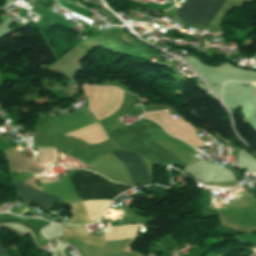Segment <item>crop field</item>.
<instances>
[{
    "instance_id": "1",
    "label": "crop field",
    "mask_w": 256,
    "mask_h": 256,
    "mask_svg": "<svg viewBox=\"0 0 256 256\" xmlns=\"http://www.w3.org/2000/svg\"><path fill=\"white\" fill-rule=\"evenodd\" d=\"M77 195L83 200L113 199L119 193L133 187L112 183L99 175L77 170L71 177Z\"/></svg>"
},
{
    "instance_id": "2",
    "label": "crop field",
    "mask_w": 256,
    "mask_h": 256,
    "mask_svg": "<svg viewBox=\"0 0 256 256\" xmlns=\"http://www.w3.org/2000/svg\"><path fill=\"white\" fill-rule=\"evenodd\" d=\"M220 0H186L178 10L181 20L191 24L202 25L212 8Z\"/></svg>"
},
{
    "instance_id": "3",
    "label": "crop field",
    "mask_w": 256,
    "mask_h": 256,
    "mask_svg": "<svg viewBox=\"0 0 256 256\" xmlns=\"http://www.w3.org/2000/svg\"><path fill=\"white\" fill-rule=\"evenodd\" d=\"M16 187L17 196L37 207L51 211L52 206L59 199L41 193L27 185L12 181Z\"/></svg>"
},
{
    "instance_id": "4",
    "label": "crop field",
    "mask_w": 256,
    "mask_h": 256,
    "mask_svg": "<svg viewBox=\"0 0 256 256\" xmlns=\"http://www.w3.org/2000/svg\"><path fill=\"white\" fill-rule=\"evenodd\" d=\"M129 167V171L133 176V183L138 185H147L148 173L143 160L134 152L118 151L114 152Z\"/></svg>"
},
{
    "instance_id": "5",
    "label": "crop field",
    "mask_w": 256,
    "mask_h": 256,
    "mask_svg": "<svg viewBox=\"0 0 256 256\" xmlns=\"http://www.w3.org/2000/svg\"><path fill=\"white\" fill-rule=\"evenodd\" d=\"M0 220L14 221V222L23 224L24 226H26L34 231V235H35V238H36L39 246L47 244L45 237H43L39 231H41V229L43 227H45L46 225L50 224V222L45 221V220H39V219L20 218V217H16L11 214H5V213L0 214ZM3 223H8V222L0 221V224H3ZM6 253L7 252L5 251V249L0 245V254H6ZM0 256H8V254L0 255Z\"/></svg>"
},
{
    "instance_id": "6",
    "label": "crop field",
    "mask_w": 256,
    "mask_h": 256,
    "mask_svg": "<svg viewBox=\"0 0 256 256\" xmlns=\"http://www.w3.org/2000/svg\"><path fill=\"white\" fill-rule=\"evenodd\" d=\"M251 194L253 195V197L256 199V188L251 189Z\"/></svg>"
}]
</instances>
